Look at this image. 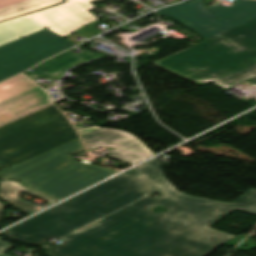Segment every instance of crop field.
I'll list each match as a JSON object with an SVG mask.
<instances>
[{
  "mask_svg": "<svg viewBox=\"0 0 256 256\" xmlns=\"http://www.w3.org/2000/svg\"><path fill=\"white\" fill-rule=\"evenodd\" d=\"M22 190H24L28 193H31L41 199L49 201V202H51L50 204L55 202V201H52L50 199H47L43 196H40L38 194H35V193L27 190L26 188H24L23 186L19 185L18 183L14 182V181H0V198H2L8 204L14 206L18 210H20L28 215L44 208V207L39 208V207L30 205V204L20 200L19 192ZM50 204H48V205H50Z\"/></svg>",
  "mask_w": 256,
  "mask_h": 256,
  "instance_id": "crop-field-11",
  "label": "crop field"
},
{
  "mask_svg": "<svg viewBox=\"0 0 256 256\" xmlns=\"http://www.w3.org/2000/svg\"><path fill=\"white\" fill-rule=\"evenodd\" d=\"M62 1L63 0H0V20Z\"/></svg>",
  "mask_w": 256,
  "mask_h": 256,
  "instance_id": "crop-field-12",
  "label": "crop field"
},
{
  "mask_svg": "<svg viewBox=\"0 0 256 256\" xmlns=\"http://www.w3.org/2000/svg\"><path fill=\"white\" fill-rule=\"evenodd\" d=\"M15 246H12L10 244L4 243L2 241H0V256H8L6 254H4L7 250L13 248Z\"/></svg>",
  "mask_w": 256,
  "mask_h": 256,
  "instance_id": "crop-field-15",
  "label": "crop field"
},
{
  "mask_svg": "<svg viewBox=\"0 0 256 256\" xmlns=\"http://www.w3.org/2000/svg\"><path fill=\"white\" fill-rule=\"evenodd\" d=\"M225 32L256 52V19Z\"/></svg>",
  "mask_w": 256,
  "mask_h": 256,
  "instance_id": "crop-field-13",
  "label": "crop field"
},
{
  "mask_svg": "<svg viewBox=\"0 0 256 256\" xmlns=\"http://www.w3.org/2000/svg\"><path fill=\"white\" fill-rule=\"evenodd\" d=\"M97 56H101V54L88 51L77 56L67 51L61 55L43 62L42 64H39V66L36 67L33 72L27 75L32 79H35L42 74L53 79H58L67 68Z\"/></svg>",
  "mask_w": 256,
  "mask_h": 256,
  "instance_id": "crop-field-10",
  "label": "crop field"
},
{
  "mask_svg": "<svg viewBox=\"0 0 256 256\" xmlns=\"http://www.w3.org/2000/svg\"><path fill=\"white\" fill-rule=\"evenodd\" d=\"M78 138L54 106L0 127L3 171Z\"/></svg>",
  "mask_w": 256,
  "mask_h": 256,
  "instance_id": "crop-field-4",
  "label": "crop field"
},
{
  "mask_svg": "<svg viewBox=\"0 0 256 256\" xmlns=\"http://www.w3.org/2000/svg\"><path fill=\"white\" fill-rule=\"evenodd\" d=\"M160 15L171 16L208 39L222 31L256 18V0H236L231 7L215 5L204 8L203 0L163 8Z\"/></svg>",
  "mask_w": 256,
  "mask_h": 256,
  "instance_id": "crop-field-6",
  "label": "crop field"
},
{
  "mask_svg": "<svg viewBox=\"0 0 256 256\" xmlns=\"http://www.w3.org/2000/svg\"><path fill=\"white\" fill-rule=\"evenodd\" d=\"M145 198L47 246L51 256H206L234 235L209 227L233 210L256 215V200L226 203L189 196L164 177L152 159L4 232L21 243L44 246L150 193ZM180 194V195H177ZM155 205L168 208L157 214Z\"/></svg>",
  "mask_w": 256,
  "mask_h": 256,
  "instance_id": "crop-field-1",
  "label": "crop field"
},
{
  "mask_svg": "<svg viewBox=\"0 0 256 256\" xmlns=\"http://www.w3.org/2000/svg\"><path fill=\"white\" fill-rule=\"evenodd\" d=\"M152 64L197 83L212 81L223 88L256 76V53L224 32Z\"/></svg>",
  "mask_w": 256,
  "mask_h": 256,
  "instance_id": "crop-field-2",
  "label": "crop field"
},
{
  "mask_svg": "<svg viewBox=\"0 0 256 256\" xmlns=\"http://www.w3.org/2000/svg\"><path fill=\"white\" fill-rule=\"evenodd\" d=\"M83 139L88 149L101 146L115 149L108 156L131 165L155 155L136 136L123 131L100 128Z\"/></svg>",
  "mask_w": 256,
  "mask_h": 256,
  "instance_id": "crop-field-8",
  "label": "crop field"
},
{
  "mask_svg": "<svg viewBox=\"0 0 256 256\" xmlns=\"http://www.w3.org/2000/svg\"><path fill=\"white\" fill-rule=\"evenodd\" d=\"M4 208H6V206L0 202V216H1V212L3 211Z\"/></svg>",
  "mask_w": 256,
  "mask_h": 256,
  "instance_id": "crop-field-17",
  "label": "crop field"
},
{
  "mask_svg": "<svg viewBox=\"0 0 256 256\" xmlns=\"http://www.w3.org/2000/svg\"><path fill=\"white\" fill-rule=\"evenodd\" d=\"M83 151L85 149L78 138L4 172L1 179L17 180L29 190L56 200L118 172L105 167L83 165L67 156Z\"/></svg>",
  "mask_w": 256,
  "mask_h": 256,
  "instance_id": "crop-field-3",
  "label": "crop field"
},
{
  "mask_svg": "<svg viewBox=\"0 0 256 256\" xmlns=\"http://www.w3.org/2000/svg\"><path fill=\"white\" fill-rule=\"evenodd\" d=\"M35 86L37 85L22 74L18 75L7 82L0 84V101Z\"/></svg>",
  "mask_w": 256,
  "mask_h": 256,
  "instance_id": "crop-field-14",
  "label": "crop field"
},
{
  "mask_svg": "<svg viewBox=\"0 0 256 256\" xmlns=\"http://www.w3.org/2000/svg\"><path fill=\"white\" fill-rule=\"evenodd\" d=\"M51 99L39 86L0 102V126L52 106Z\"/></svg>",
  "mask_w": 256,
  "mask_h": 256,
  "instance_id": "crop-field-9",
  "label": "crop field"
},
{
  "mask_svg": "<svg viewBox=\"0 0 256 256\" xmlns=\"http://www.w3.org/2000/svg\"><path fill=\"white\" fill-rule=\"evenodd\" d=\"M146 197H148V196H146ZM145 198V197H144ZM143 199V198H142ZM141 200V199H140ZM139 201V200H138Z\"/></svg>",
  "mask_w": 256,
  "mask_h": 256,
  "instance_id": "crop-field-18",
  "label": "crop field"
},
{
  "mask_svg": "<svg viewBox=\"0 0 256 256\" xmlns=\"http://www.w3.org/2000/svg\"><path fill=\"white\" fill-rule=\"evenodd\" d=\"M243 196L251 197V198H255L256 199V190L252 189V190L246 192L245 194H243Z\"/></svg>",
  "mask_w": 256,
  "mask_h": 256,
  "instance_id": "crop-field-16",
  "label": "crop field"
},
{
  "mask_svg": "<svg viewBox=\"0 0 256 256\" xmlns=\"http://www.w3.org/2000/svg\"><path fill=\"white\" fill-rule=\"evenodd\" d=\"M95 0H67L66 3L0 23V45L49 29L64 37L97 18L90 12Z\"/></svg>",
  "mask_w": 256,
  "mask_h": 256,
  "instance_id": "crop-field-5",
  "label": "crop field"
},
{
  "mask_svg": "<svg viewBox=\"0 0 256 256\" xmlns=\"http://www.w3.org/2000/svg\"><path fill=\"white\" fill-rule=\"evenodd\" d=\"M75 46L45 29L0 47V81Z\"/></svg>",
  "mask_w": 256,
  "mask_h": 256,
  "instance_id": "crop-field-7",
  "label": "crop field"
}]
</instances>
